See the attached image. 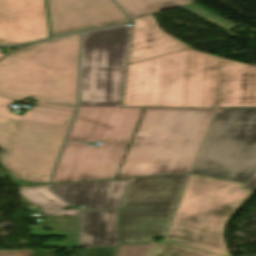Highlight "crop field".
<instances>
[{"label": "crop field", "mask_w": 256, "mask_h": 256, "mask_svg": "<svg viewBox=\"0 0 256 256\" xmlns=\"http://www.w3.org/2000/svg\"><path fill=\"white\" fill-rule=\"evenodd\" d=\"M219 58L192 48L129 64L122 106L216 108Z\"/></svg>", "instance_id": "8a807250"}, {"label": "crop field", "mask_w": 256, "mask_h": 256, "mask_svg": "<svg viewBox=\"0 0 256 256\" xmlns=\"http://www.w3.org/2000/svg\"><path fill=\"white\" fill-rule=\"evenodd\" d=\"M213 113L144 108L116 178L189 173Z\"/></svg>", "instance_id": "ac0d7876"}, {"label": "crop field", "mask_w": 256, "mask_h": 256, "mask_svg": "<svg viewBox=\"0 0 256 256\" xmlns=\"http://www.w3.org/2000/svg\"><path fill=\"white\" fill-rule=\"evenodd\" d=\"M80 34L38 42L0 61V95L76 106Z\"/></svg>", "instance_id": "34b2d1b8"}, {"label": "crop field", "mask_w": 256, "mask_h": 256, "mask_svg": "<svg viewBox=\"0 0 256 256\" xmlns=\"http://www.w3.org/2000/svg\"><path fill=\"white\" fill-rule=\"evenodd\" d=\"M244 185L191 174L163 242L230 256L223 231L228 218L252 192Z\"/></svg>", "instance_id": "412701ff"}, {"label": "crop field", "mask_w": 256, "mask_h": 256, "mask_svg": "<svg viewBox=\"0 0 256 256\" xmlns=\"http://www.w3.org/2000/svg\"><path fill=\"white\" fill-rule=\"evenodd\" d=\"M14 101L0 96V147L7 150L1 164L14 179L47 183L72 118L32 111L20 116L7 109Z\"/></svg>", "instance_id": "f4fd0767"}, {"label": "crop field", "mask_w": 256, "mask_h": 256, "mask_svg": "<svg viewBox=\"0 0 256 256\" xmlns=\"http://www.w3.org/2000/svg\"><path fill=\"white\" fill-rule=\"evenodd\" d=\"M191 173L250 180L256 173V107L214 114Z\"/></svg>", "instance_id": "dd49c442"}, {"label": "crop field", "mask_w": 256, "mask_h": 256, "mask_svg": "<svg viewBox=\"0 0 256 256\" xmlns=\"http://www.w3.org/2000/svg\"><path fill=\"white\" fill-rule=\"evenodd\" d=\"M187 175L132 179L118 211L120 245L151 244L153 236H164Z\"/></svg>", "instance_id": "e52e79f7"}, {"label": "crop field", "mask_w": 256, "mask_h": 256, "mask_svg": "<svg viewBox=\"0 0 256 256\" xmlns=\"http://www.w3.org/2000/svg\"><path fill=\"white\" fill-rule=\"evenodd\" d=\"M131 27L87 32L82 43L80 106H119Z\"/></svg>", "instance_id": "d8731c3e"}, {"label": "crop field", "mask_w": 256, "mask_h": 256, "mask_svg": "<svg viewBox=\"0 0 256 256\" xmlns=\"http://www.w3.org/2000/svg\"><path fill=\"white\" fill-rule=\"evenodd\" d=\"M129 145L66 144L51 183L115 178Z\"/></svg>", "instance_id": "5a996713"}, {"label": "crop field", "mask_w": 256, "mask_h": 256, "mask_svg": "<svg viewBox=\"0 0 256 256\" xmlns=\"http://www.w3.org/2000/svg\"><path fill=\"white\" fill-rule=\"evenodd\" d=\"M143 108L79 107L66 143L107 141L129 144Z\"/></svg>", "instance_id": "3316defc"}, {"label": "crop field", "mask_w": 256, "mask_h": 256, "mask_svg": "<svg viewBox=\"0 0 256 256\" xmlns=\"http://www.w3.org/2000/svg\"><path fill=\"white\" fill-rule=\"evenodd\" d=\"M51 37L128 22L112 0H47Z\"/></svg>", "instance_id": "28ad6ade"}, {"label": "crop field", "mask_w": 256, "mask_h": 256, "mask_svg": "<svg viewBox=\"0 0 256 256\" xmlns=\"http://www.w3.org/2000/svg\"><path fill=\"white\" fill-rule=\"evenodd\" d=\"M47 37L44 0H0V45Z\"/></svg>", "instance_id": "d1516ede"}, {"label": "crop field", "mask_w": 256, "mask_h": 256, "mask_svg": "<svg viewBox=\"0 0 256 256\" xmlns=\"http://www.w3.org/2000/svg\"><path fill=\"white\" fill-rule=\"evenodd\" d=\"M131 179L56 184L51 188L70 204L85 209L119 208Z\"/></svg>", "instance_id": "22f410ed"}, {"label": "crop field", "mask_w": 256, "mask_h": 256, "mask_svg": "<svg viewBox=\"0 0 256 256\" xmlns=\"http://www.w3.org/2000/svg\"><path fill=\"white\" fill-rule=\"evenodd\" d=\"M256 106V67L221 59L219 107Z\"/></svg>", "instance_id": "cbeb9de0"}, {"label": "crop field", "mask_w": 256, "mask_h": 256, "mask_svg": "<svg viewBox=\"0 0 256 256\" xmlns=\"http://www.w3.org/2000/svg\"><path fill=\"white\" fill-rule=\"evenodd\" d=\"M189 48L161 31L152 14L134 19L129 63Z\"/></svg>", "instance_id": "5142ce71"}, {"label": "crop field", "mask_w": 256, "mask_h": 256, "mask_svg": "<svg viewBox=\"0 0 256 256\" xmlns=\"http://www.w3.org/2000/svg\"><path fill=\"white\" fill-rule=\"evenodd\" d=\"M81 212V247L118 246L117 210Z\"/></svg>", "instance_id": "d9b57169"}, {"label": "crop field", "mask_w": 256, "mask_h": 256, "mask_svg": "<svg viewBox=\"0 0 256 256\" xmlns=\"http://www.w3.org/2000/svg\"><path fill=\"white\" fill-rule=\"evenodd\" d=\"M31 235L37 236H66L67 242H48L41 247L62 246L63 248L77 247V217H46L43 226H28ZM43 227L52 229L50 232Z\"/></svg>", "instance_id": "733c2abd"}, {"label": "crop field", "mask_w": 256, "mask_h": 256, "mask_svg": "<svg viewBox=\"0 0 256 256\" xmlns=\"http://www.w3.org/2000/svg\"><path fill=\"white\" fill-rule=\"evenodd\" d=\"M131 19L192 3L191 0H115Z\"/></svg>", "instance_id": "4a817a6b"}, {"label": "crop field", "mask_w": 256, "mask_h": 256, "mask_svg": "<svg viewBox=\"0 0 256 256\" xmlns=\"http://www.w3.org/2000/svg\"><path fill=\"white\" fill-rule=\"evenodd\" d=\"M20 194L30 201L39 204L45 215H77L76 211L60 212L64 206H69L64 201L52 194L47 186L20 188ZM45 208H57L56 210H45Z\"/></svg>", "instance_id": "bc2a9ffb"}, {"label": "crop field", "mask_w": 256, "mask_h": 256, "mask_svg": "<svg viewBox=\"0 0 256 256\" xmlns=\"http://www.w3.org/2000/svg\"><path fill=\"white\" fill-rule=\"evenodd\" d=\"M150 256H217L161 242Z\"/></svg>", "instance_id": "214f88e0"}, {"label": "crop field", "mask_w": 256, "mask_h": 256, "mask_svg": "<svg viewBox=\"0 0 256 256\" xmlns=\"http://www.w3.org/2000/svg\"><path fill=\"white\" fill-rule=\"evenodd\" d=\"M180 8H182V9H184L202 19H205V20H207L225 30H228V29L236 26L235 24H233V23H231V22H229V21H227V20H225V19H223V18H221V17L195 5V4L180 7Z\"/></svg>", "instance_id": "92a150f3"}, {"label": "crop field", "mask_w": 256, "mask_h": 256, "mask_svg": "<svg viewBox=\"0 0 256 256\" xmlns=\"http://www.w3.org/2000/svg\"><path fill=\"white\" fill-rule=\"evenodd\" d=\"M157 243L153 242L151 245L119 246L117 256H147L152 247Z\"/></svg>", "instance_id": "dafd665d"}, {"label": "crop field", "mask_w": 256, "mask_h": 256, "mask_svg": "<svg viewBox=\"0 0 256 256\" xmlns=\"http://www.w3.org/2000/svg\"><path fill=\"white\" fill-rule=\"evenodd\" d=\"M117 247L84 248L83 256H115Z\"/></svg>", "instance_id": "00972430"}, {"label": "crop field", "mask_w": 256, "mask_h": 256, "mask_svg": "<svg viewBox=\"0 0 256 256\" xmlns=\"http://www.w3.org/2000/svg\"><path fill=\"white\" fill-rule=\"evenodd\" d=\"M29 110L47 112V113H54V114H61V115H68V116H72L74 114L72 112H66V111L49 109V108L38 107V106H32V108L29 109Z\"/></svg>", "instance_id": "a9b5d70f"}, {"label": "crop field", "mask_w": 256, "mask_h": 256, "mask_svg": "<svg viewBox=\"0 0 256 256\" xmlns=\"http://www.w3.org/2000/svg\"><path fill=\"white\" fill-rule=\"evenodd\" d=\"M33 250L24 251H0V256H31Z\"/></svg>", "instance_id": "4177f3b9"}, {"label": "crop field", "mask_w": 256, "mask_h": 256, "mask_svg": "<svg viewBox=\"0 0 256 256\" xmlns=\"http://www.w3.org/2000/svg\"><path fill=\"white\" fill-rule=\"evenodd\" d=\"M37 105L49 107V108L66 110V111H72V112H75V110H76V108H72V107H66V106H60V105H54V104H48V103H42V102H38Z\"/></svg>", "instance_id": "730fd06b"}, {"label": "crop field", "mask_w": 256, "mask_h": 256, "mask_svg": "<svg viewBox=\"0 0 256 256\" xmlns=\"http://www.w3.org/2000/svg\"><path fill=\"white\" fill-rule=\"evenodd\" d=\"M252 190L256 189V174L251 178V180L244 186Z\"/></svg>", "instance_id": "eef30255"}, {"label": "crop field", "mask_w": 256, "mask_h": 256, "mask_svg": "<svg viewBox=\"0 0 256 256\" xmlns=\"http://www.w3.org/2000/svg\"><path fill=\"white\" fill-rule=\"evenodd\" d=\"M3 56H5V55H3V54L0 53V58L3 57Z\"/></svg>", "instance_id": "ae1a2a85"}]
</instances>
